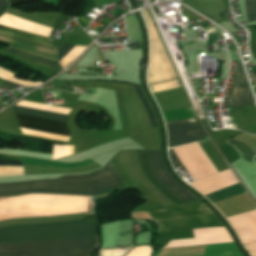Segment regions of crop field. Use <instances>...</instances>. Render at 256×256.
<instances>
[{"instance_id":"obj_1","label":"crop field","mask_w":256,"mask_h":256,"mask_svg":"<svg viewBox=\"0 0 256 256\" xmlns=\"http://www.w3.org/2000/svg\"><path fill=\"white\" fill-rule=\"evenodd\" d=\"M96 217L81 221L28 224L0 229V243L96 234ZM97 236L0 244V256H89Z\"/></svg>"},{"instance_id":"obj_16","label":"crop field","mask_w":256,"mask_h":256,"mask_svg":"<svg viewBox=\"0 0 256 256\" xmlns=\"http://www.w3.org/2000/svg\"><path fill=\"white\" fill-rule=\"evenodd\" d=\"M78 46H69V45H62L60 49L58 50V61L61 64L64 62L71 54L72 52L77 48ZM86 49V48H85ZM84 49V50H85ZM83 50V51H84ZM68 67V66H67ZM65 69V68H64Z\"/></svg>"},{"instance_id":"obj_6","label":"crop field","mask_w":256,"mask_h":256,"mask_svg":"<svg viewBox=\"0 0 256 256\" xmlns=\"http://www.w3.org/2000/svg\"><path fill=\"white\" fill-rule=\"evenodd\" d=\"M150 36V61L148 67V84L177 78L163 45L158 37L151 17L146 9L142 10Z\"/></svg>"},{"instance_id":"obj_10","label":"crop field","mask_w":256,"mask_h":256,"mask_svg":"<svg viewBox=\"0 0 256 256\" xmlns=\"http://www.w3.org/2000/svg\"><path fill=\"white\" fill-rule=\"evenodd\" d=\"M254 103L255 102L250 91L245 73L242 69L241 62L238 61L236 84L232 93L230 108L250 105Z\"/></svg>"},{"instance_id":"obj_5","label":"crop field","mask_w":256,"mask_h":256,"mask_svg":"<svg viewBox=\"0 0 256 256\" xmlns=\"http://www.w3.org/2000/svg\"><path fill=\"white\" fill-rule=\"evenodd\" d=\"M13 108L17 113L28 114V115L66 122L67 115L65 114L54 113V112L28 108V107H23L18 105L13 106ZM17 113L15 114L19 120V125L22 128L70 137V129L67 123L33 117V116H27V115H22Z\"/></svg>"},{"instance_id":"obj_22","label":"crop field","mask_w":256,"mask_h":256,"mask_svg":"<svg viewBox=\"0 0 256 256\" xmlns=\"http://www.w3.org/2000/svg\"><path fill=\"white\" fill-rule=\"evenodd\" d=\"M228 218V217H227Z\"/></svg>"},{"instance_id":"obj_8","label":"crop field","mask_w":256,"mask_h":256,"mask_svg":"<svg viewBox=\"0 0 256 256\" xmlns=\"http://www.w3.org/2000/svg\"><path fill=\"white\" fill-rule=\"evenodd\" d=\"M0 32L50 45V42H49L47 37H42V36L26 33V32H23V31L11 29V28L1 26V25H0ZM1 33H0V35H3V36H7V37H11V38H15V39H19V40H23V41H27V42H31V43H35V44H39V45H43V46L53 48L52 46H49V45H45V44H41V43H37V42H33V41L21 39V38H17V37H13V36L1 34ZM8 53L13 54V55H15L17 57H20V58H23V59L41 64V65H45V66H48V67H51V68L62 70V66H60L59 63H57V61H55V60H51V59L39 57V56H36V55H33V54H29V53L17 50V49L12 48V47H10V49L8 50Z\"/></svg>"},{"instance_id":"obj_21","label":"crop field","mask_w":256,"mask_h":256,"mask_svg":"<svg viewBox=\"0 0 256 256\" xmlns=\"http://www.w3.org/2000/svg\"><path fill=\"white\" fill-rule=\"evenodd\" d=\"M4 85H5V87H6L7 90L14 89L13 83H11V82L5 81V82H4Z\"/></svg>"},{"instance_id":"obj_14","label":"crop field","mask_w":256,"mask_h":256,"mask_svg":"<svg viewBox=\"0 0 256 256\" xmlns=\"http://www.w3.org/2000/svg\"><path fill=\"white\" fill-rule=\"evenodd\" d=\"M135 90H136L140 100L142 101V103H143V105H144V107H145V109H146V111L148 113V116L150 118L152 127H158L157 122L155 120L154 113H153V111H152V109H151V107H150V105H149V103H148V101H147V99H146L142 89L138 88V87H135Z\"/></svg>"},{"instance_id":"obj_2","label":"crop field","mask_w":256,"mask_h":256,"mask_svg":"<svg viewBox=\"0 0 256 256\" xmlns=\"http://www.w3.org/2000/svg\"><path fill=\"white\" fill-rule=\"evenodd\" d=\"M120 186L125 185L109 161L103 169L87 175L63 176L56 180L0 184V197L27 193L97 196Z\"/></svg>"},{"instance_id":"obj_15","label":"crop field","mask_w":256,"mask_h":256,"mask_svg":"<svg viewBox=\"0 0 256 256\" xmlns=\"http://www.w3.org/2000/svg\"><path fill=\"white\" fill-rule=\"evenodd\" d=\"M149 87L151 89V92L154 93V92H159V91H164V90L180 88L182 86H181L179 80H175V81L165 82V83H161V84L151 85Z\"/></svg>"},{"instance_id":"obj_4","label":"crop field","mask_w":256,"mask_h":256,"mask_svg":"<svg viewBox=\"0 0 256 256\" xmlns=\"http://www.w3.org/2000/svg\"><path fill=\"white\" fill-rule=\"evenodd\" d=\"M157 225L156 233L222 225L202 203L194 202L146 212Z\"/></svg>"},{"instance_id":"obj_11","label":"crop field","mask_w":256,"mask_h":256,"mask_svg":"<svg viewBox=\"0 0 256 256\" xmlns=\"http://www.w3.org/2000/svg\"><path fill=\"white\" fill-rule=\"evenodd\" d=\"M208 255L202 256H242L234 243H222L206 245ZM154 256H163L162 250Z\"/></svg>"},{"instance_id":"obj_9","label":"crop field","mask_w":256,"mask_h":256,"mask_svg":"<svg viewBox=\"0 0 256 256\" xmlns=\"http://www.w3.org/2000/svg\"><path fill=\"white\" fill-rule=\"evenodd\" d=\"M150 165L155 176L161 183L168 188L172 193L178 196L184 203L197 201L189 192L180 187L166 171L160 157V151H148Z\"/></svg>"},{"instance_id":"obj_18","label":"crop field","mask_w":256,"mask_h":256,"mask_svg":"<svg viewBox=\"0 0 256 256\" xmlns=\"http://www.w3.org/2000/svg\"><path fill=\"white\" fill-rule=\"evenodd\" d=\"M249 14L256 15V0H248Z\"/></svg>"},{"instance_id":"obj_12","label":"crop field","mask_w":256,"mask_h":256,"mask_svg":"<svg viewBox=\"0 0 256 256\" xmlns=\"http://www.w3.org/2000/svg\"><path fill=\"white\" fill-rule=\"evenodd\" d=\"M245 193L244 189L240 183L233 186L227 187L225 189L219 190L217 192L206 195V197L212 202H217L226 198H230L239 194Z\"/></svg>"},{"instance_id":"obj_3","label":"crop field","mask_w":256,"mask_h":256,"mask_svg":"<svg viewBox=\"0 0 256 256\" xmlns=\"http://www.w3.org/2000/svg\"><path fill=\"white\" fill-rule=\"evenodd\" d=\"M0 200V221L87 213L88 197L28 195Z\"/></svg>"},{"instance_id":"obj_13","label":"crop field","mask_w":256,"mask_h":256,"mask_svg":"<svg viewBox=\"0 0 256 256\" xmlns=\"http://www.w3.org/2000/svg\"><path fill=\"white\" fill-rule=\"evenodd\" d=\"M165 121L197 118L192 107L162 112Z\"/></svg>"},{"instance_id":"obj_7","label":"crop field","mask_w":256,"mask_h":256,"mask_svg":"<svg viewBox=\"0 0 256 256\" xmlns=\"http://www.w3.org/2000/svg\"><path fill=\"white\" fill-rule=\"evenodd\" d=\"M168 127L169 148L195 143L207 139L201 126L194 123L193 119L166 122ZM170 157L174 167L181 165V162L169 149Z\"/></svg>"},{"instance_id":"obj_19","label":"crop field","mask_w":256,"mask_h":256,"mask_svg":"<svg viewBox=\"0 0 256 256\" xmlns=\"http://www.w3.org/2000/svg\"><path fill=\"white\" fill-rule=\"evenodd\" d=\"M31 1H35V0H8L10 7L16 6L19 4H23V3H27V2H31Z\"/></svg>"},{"instance_id":"obj_20","label":"crop field","mask_w":256,"mask_h":256,"mask_svg":"<svg viewBox=\"0 0 256 256\" xmlns=\"http://www.w3.org/2000/svg\"><path fill=\"white\" fill-rule=\"evenodd\" d=\"M7 6L6 0H0V15L6 10Z\"/></svg>"},{"instance_id":"obj_17","label":"crop field","mask_w":256,"mask_h":256,"mask_svg":"<svg viewBox=\"0 0 256 256\" xmlns=\"http://www.w3.org/2000/svg\"><path fill=\"white\" fill-rule=\"evenodd\" d=\"M0 160H19L18 156L0 154ZM0 165L22 166L20 161H0Z\"/></svg>"}]
</instances>
